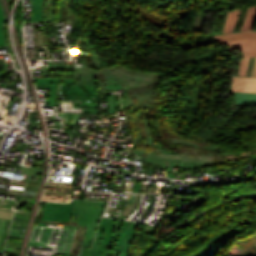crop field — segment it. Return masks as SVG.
Masks as SVG:
<instances>
[{
  "label": "crop field",
  "mask_w": 256,
  "mask_h": 256,
  "mask_svg": "<svg viewBox=\"0 0 256 256\" xmlns=\"http://www.w3.org/2000/svg\"><path fill=\"white\" fill-rule=\"evenodd\" d=\"M136 227V223L102 218L96 241L93 246L94 251L92 256H109L110 252L107 251V249L112 240L119 241L114 256H128L129 254H126V252Z\"/></svg>",
  "instance_id": "crop-field-1"
},
{
  "label": "crop field",
  "mask_w": 256,
  "mask_h": 256,
  "mask_svg": "<svg viewBox=\"0 0 256 256\" xmlns=\"http://www.w3.org/2000/svg\"><path fill=\"white\" fill-rule=\"evenodd\" d=\"M81 203V205H79ZM106 202L76 200L70 225L86 226L83 245L91 247L100 214Z\"/></svg>",
  "instance_id": "crop-field-2"
},
{
  "label": "crop field",
  "mask_w": 256,
  "mask_h": 256,
  "mask_svg": "<svg viewBox=\"0 0 256 256\" xmlns=\"http://www.w3.org/2000/svg\"><path fill=\"white\" fill-rule=\"evenodd\" d=\"M220 45H227L229 49L241 50L244 59H241L240 74L245 76L249 57H256V32L214 35Z\"/></svg>",
  "instance_id": "crop-field-3"
},
{
  "label": "crop field",
  "mask_w": 256,
  "mask_h": 256,
  "mask_svg": "<svg viewBox=\"0 0 256 256\" xmlns=\"http://www.w3.org/2000/svg\"><path fill=\"white\" fill-rule=\"evenodd\" d=\"M234 77L231 80L230 92L234 94L231 114H235V105L256 106V91L232 90Z\"/></svg>",
  "instance_id": "crop-field-4"
},
{
  "label": "crop field",
  "mask_w": 256,
  "mask_h": 256,
  "mask_svg": "<svg viewBox=\"0 0 256 256\" xmlns=\"http://www.w3.org/2000/svg\"><path fill=\"white\" fill-rule=\"evenodd\" d=\"M233 89L256 90V78L235 77Z\"/></svg>",
  "instance_id": "crop-field-5"
},
{
  "label": "crop field",
  "mask_w": 256,
  "mask_h": 256,
  "mask_svg": "<svg viewBox=\"0 0 256 256\" xmlns=\"http://www.w3.org/2000/svg\"><path fill=\"white\" fill-rule=\"evenodd\" d=\"M43 0H33L31 22H43Z\"/></svg>",
  "instance_id": "crop-field-6"
},
{
  "label": "crop field",
  "mask_w": 256,
  "mask_h": 256,
  "mask_svg": "<svg viewBox=\"0 0 256 256\" xmlns=\"http://www.w3.org/2000/svg\"><path fill=\"white\" fill-rule=\"evenodd\" d=\"M240 10L229 12L223 33L232 32Z\"/></svg>",
  "instance_id": "crop-field-7"
},
{
  "label": "crop field",
  "mask_w": 256,
  "mask_h": 256,
  "mask_svg": "<svg viewBox=\"0 0 256 256\" xmlns=\"http://www.w3.org/2000/svg\"><path fill=\"white\" fill-rule=\"evenodd\" d=\"M256 17V6L250 7L244 26L241 31L251 30Z\"/></svg>",
  "instance_id": "crop-field-8"
},
{
  "label": "crop field",
  "mask_w": 256,
  "mask_h": 256,
  "mask_svg": "<svg viewBox=\"0 0 256 256\" xmlns=\"http://www.w3.org/2000/svg\"><path fill=\"white\" fill-rule=\"evenodd\" d=\"M3 14H2L1 7H0V46H7L5 43V40H4V36H3V23L5 22Z\"/></svg>",
  "instance_id": "crop-field-9"
},
{
  "label": "crop field",
  "mask_w": 256,
  "mask_h": 256,
  "mask_svg": "<svg viewBox=\"0 0 256 256\" xmlns=\"http://www.w3.org/2000/svg\"><path fill=\"white\" fill-rule=\"evenodd\" d=\"M21 235H23V237H24V235H25V234H21V233H13V232H10V234H9V236H12V237H19V238H23V237H21Z\"/></svg>",
  "instance_id": "crop-field-10"
},
{
  "label": "crop field",
  "mask_w": 256,
  "mask_h": 256,
  "mask_svg": "<svg viewBox=\"0 0 256 256\" xmlns=\"http://www.w3.org/2000/svg\"><path fill=\"white\" fill-rule=\"evenodd\" d=\"M255 75H256V59H255L254 65H253V69H252V74H251V76H254V77H255Z\"/></svg>",
  "instance_id": "crop-field-11"
}]
</instances>
